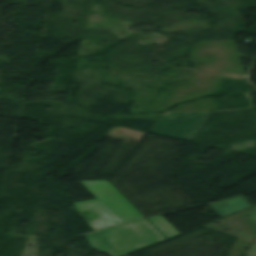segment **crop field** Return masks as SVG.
<instances>
[{
	"mask_svg": "<svg viewBox=\"0 0 256 256\" xmlns=\"http://www.w3.org/2000/svg\"><path fill=\"white\" fill-rule=\"evenodd\" d=\"M98 200L74 203L77 210H92L98 218L87 223L94 231L144 219L106 181L80 182Z\"/></svg>",
	"mask_w": 256,
	"mask_h": 256,
	"instance_id": "1",
	"label": "crop field"
},
{
	"mask_svg": "<svg viewBox=\"0 0 256 256\" xmlns=\"http://www.w3.org/2000/svg\"><path fill=\"white\" fill-rule=\"evenodd\" d=\"M153 227L144 220L84 236L92 249L112 256H124L165 240Z\"/></svg>",
	"mask_w": 256,
	"mask_h": 256,
	"instance_id": "2",
	"label": "crop field"
},
{
	"mask_svg": "<svg viewBox=\"0 0 256 256\" xmlns=\"http://www.w3.org/2000/svg\"><path fill=\"white\" fill-rule=\"evenodd\" d=\"M210 112H164L152 133L192 142Z\"/></svg>",
	"mask_w": 256,
	"mask_h": 256,
	"instance_id": "3",
	"label": "crop field"
},
{
	"mask_svg": "<svg viewBox=\"0 0 256 256\" xmlns=\"http://www.w3.org/2000/svg\"><path fill=\"white\" fill-rule=\"evenodd\" d=\"M209 206L221 218L253 207L244 196L212 203Z\"/></svg>",
	"mask_w": 256,
	"mask_h": 256,
	"instance_id": "4",
	"label": "crop field"
},
{
	"mask_svg": "<svg viewBox=\"0 0 256 256\" xmlns=\"http://www.w3.org/2000/svg\"><path fill=\"white\" fill-rule=\"evenodd\" d=\"M158 230L167 238H171L180 234V232L175 229L167 220H165L162 216L150 218L149 219Z\"/></svg>",
	"mask_w": 256,
	"mask_h": 256,
	"instance_id": "5",
	"label": "crop field"
},
{
	"mask_svg": "<svg viewBox=\"0 0 256 256\" xmlns=\"http://www.w3.org/2000/svg\"><path fill=\"white\" fill-rule=\"evenodd\" d=\"M245 256H256V242L254 245L248 250Z\"/></svg>",
	"mask_w": 256,
	"mask_h": 256,
	"instance_id": "6",
	"label": "crop field"
}]
</instances>
